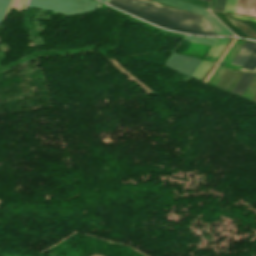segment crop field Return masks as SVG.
Masks as SVG:
<instances>
[{
    "label": "crop field",
    "instance_id": "obj_1",
    "mask_svg": "<svg viewBox=\"0 0 256 256\" xmlns=\"http://www.w3.org/2000/svg\"><path fill=\"white\" fill-rule=\"evenodd\" d=\"M108 4L149 20L164 28L198 35H217L198 15L170 9L147 0H110Z\"/></svg>",
    "mask_w": 256,
    "mask_h": 256
},
{
    "label": "crop field",
    "instance_id": "obj_2",
    "mask_svg": "<svg viewBox=\"0 0 256 256\" xmlns=\"http://www.w3.org/2000/svg\"><path fill=\"white\" fill-rule=\"evenodd\" d=\"M27 5L63 15L89 12L100 6L99 3L90 0H29Z\"/></svg>",
    "mask_w": 256,
    "mask_h": 256
},
{
    "label": "crop field",
    "instance_id": "obj_3",
    "mask_svg": "<svg viewBox=\"0 0 256 256\" xmlns=\"http://www.w3.org/2000/svg\"><path fill=\"white\" fill-rule=\"evenodd\" d=\"M202 15L217 34H233L210 11L177 0H153Z\"/></svg>",
    "mask_w": 256,
    "mask_h": 256
},
{
    "label": "crop field",
    "instance_id": "obj_4",
    "mask_svg": "<svg viewBox=\"0 0 256 256\" xmlns=\"http://www.w3.org/2000/svg\"><path fill=\"white\" fill-rule=\"evenodd\" d=\"M200 63L201 60L174 53L165 66L191 77Z\"/></svg>",
    "mask_w": 256,
    "mask_h": 256
},
{
    "label": "crop field",
    "instance_id": "obj_5",
    "mask_svg": "<svg viewBox=\"0 0 256 256\" xmlns=\"http://www.w3.org/2000/svg\"><path fill=\"white\" fill-rule=\"evenodd\" d=\"M255 46H256V43L246 41V43L241 48V50L239 51L237 56L234 58L232 63L243 66V64L245 63V61L247 60V58L249 57L250 53L252 52Z\"/></svg>",
    "mask_w": 256,
    "mask_h": 256
},
{
    "label": "crop field",
    "instance_id": "obj_6",
    "mask_svg": "<svg viewBox=\"0 0 256 256\" xmlns=\"http://www.w3.org/2000/svg\"><path fill=\"white\" fill-rule=\"evenodd\" d=\"M255 75L256 73L244 72V74L239 79L235 87L232 89V92L239 93L242 95V93L247 88V86L249 85V83L251 82Z\"/></svg>",
    "mask_w": 256,
    "mask_h": 256
},
{
    "label": "crop field",
    "instance_id": "obj_7",
    "mask_svg": "<svg viewBox=\"0 0 256 256\" xmlns=\"http://www.w3.org/2000/svg\"><path fill=\"white\" fill-rule=\"evenodd\" d=\"M254 1L255 0H238L236 13L252 16Z\"/></svg>",
    "mask_w": 256,
    "mask_h": 256
},
{
    "label": "crop field",
    "instance_id": "obj_8",
    "mask_svg": "<svg viewBox=\"0 0 256 256\" xmlns=\"http://www.w3.org/2000/svg\"><path fill=\"white\" fill-rule=\"evenodd\" d=\"M216 16H218L228 27H230L237 35L247 37L227 16L222 12L212 11Z\"/></svg>",
    "mask_w": 256,
    "mask_h": 256
},
{
    "label": "crop field",
    "instance_id": "obj_9",
    "mask_svg": "<svg viewBox=\"0 0 256 256\" xmlns=\"http://www.w3.org/2000/svg\"><path fill=\"white\" fill-rule=\"evenodd\" d=\"M228 40L229 38H218V40L208 53V56L217 58V56L219 55V53L221 52V50L223 49Z\"/></svg>",
    "mask_w": 256,
    "mask_h": 256
},
{
    "label": "crop field",
    "instance_id": "obj_10",
    "mask_svg": "<svg viewBox=\"0 0 256 256\" xmlns=\"http://www.w3.org/2000/svg\"><path fill=\"white\" fill-rule=\"evenodd\" d=\"M241 70L256 71V47Z\"/></svg>",
    "mask_w": 256,
    "mask_h": 256
},
{
    "label": "crop field",
    "instance_id": "obj_11",
    "mask_svg": "<svg viewBox=\"0 0 256 256\" xmlns=\"http://www.w3.org/2000/svg\"><path fill=\"white\" fill-rule=\"evenodd\" d=\"M211 63H207L202 61V63L199 65L196 72L193 74V78L200 79L202 75L207 71V69L210 67Z\"/></svg>",
    "mask_w": 256,
    "mask_h": 256
},
{
    "label": "crop field",
    "instance_id": "obj_12",
    "mask_svg": "<svg viewBox=\"0 0 256 256\" xmlns=\"http://www.w3.org/2000/svg\"><path fill=\"white\" fill-rule=\"evenodd\" d=\"M185 40L213 45L216 38L192 37L187 35Z\"/></svg>",
    "mask_w": 256,
    "mask_h": 256
},
{
    "label": "crop field",
    "instance_id": "obj_13",
    "mask_svg": "<svg viewBox=\"0 0 256 256\" xmlns=\"http://www.w3.org/2000/svg\"><path fill=\"white\" fill-rule=\"evenodd\" d=\"M237 0H227L225 11L235 13Z\"/></svg>",
    "mask_w": 256,
    "mask_h": 256
},
{
    "label": "crop field",
    "instance_id": "obj_14",
    "mask_svg": "<svg viewBox=\"0 0 256 256\" xmlns=\"http://www.w3.org/2000/svg\"><path fill=\"white\" fill-rule=\"evenodd\" d=\"M181 1L193 4V5H197L203 8H208V5H209L208 2L201 1V0H181Z\"/></svg>",
    "mask_w": 256,
    "mask_h": 256
},
{
    "label": "crop field",
    "instance_id": "obj_15",
    "mask_svg": "<svg viewBox=\"0 0 256 256\" xmlns=\"http://www.w3.org/2000/svg\"><path fill=\"white\" fill-rule=\"evenodd\" d=\"M225 0H215L214 9L224 11Z\"/></svg>",
    "mask_w": 256,
    "mask_h": 256
},
{
    "label": "crop field",
    "instance_id": "obj_16",
    "mask_svg": "<svg viewBox=\"0 0 256 256\" xmlns=\"http://www.w3.org/2000/svg\"><path fill=\"white\" fill-rule=\"evenodd\" d=\"M9 1L10 0H4L2 5H1V7H0V20H1L2 16H3L7 6H8Z\"/></svg>",
    "mask_w": 256,
    "mask_h": 256
},
{
    "label": "crop field",
    "instance_id": "obj_17",
    "mask_svg": "<svg viewBox=\"0 0 256 256\" xmlns=\"http://www.w3.org/2000/svg\"><path fill=\"white\" fill-rule=\"evenodd\" d=\"M14 1H15V0H11V1H10L9 6H8L6 12H5L4 17H5V16L7 15V13L11 10V8H12V6H13V4H14ZM4 17H3V19H4ZM3 19H2V20H3ZM0 23H1V22H0Z\"/></svg>",
    "mask_w": 256,
    "mask_h": 256
},
{
    "label": "crop field",
    "instance_id": "obj_18",
    "mask_svg": "<svg viewBox=\"0 0 256 256\" xmlns=\"http://www.w3.org/2000/svg\"><path fill=\"white\" fill-rule=\"evenodd\" d=\"M25 2H26V0H20V1H19V4H18V6H17L16 9H18V8H20V7H22V6H24Z\"/></svg>",
    "mask_w": 256,
    "mask_h": 256
},
{
    "label": "crop field",
    "instance_id": "obj_19",
    "mask_svg": "<svg viewBox=\"0 0 256 256\" xmlns=\"http://www.w3.org/2000/svg\"><path fill=\"white\" fill-rule=\"evenodd\" d=\"M253 16L256 17V1H255V7H254V13H253Z\"/></svg>",
    "mask_w": 256,
    "mask_h": 256
},
{
    "label": "crop field",
    "instance_id": "obj_20",
    "mask_svg": "<svg viewBox=\"0 0 256 256\" xmlns=\"http://www.w3.org/2000/svg\"><path fill=\"white\" fill-rule=\"evenodd\" d=\"M18 1H19V0H16L15 5H14V7H13L14 9L16 8V6H17V4H18Z\"/></svg>",
    "mask_w": 256,
    "mask_h": 256
},
{
    "label": "crop field",
    "instance_id": "obj_21",
    "mask_svg": "<svg viewBox=\"0 0 256 256\" xmlns=\"http://www.w3.org/2000/svg\"><path fill=\"white\" fill-rule=\"evenodd\" d=\"M92 256H102V255H96V254H93Z\"/></svg>",
    "mask_w": 256,
    "mask_h": 256
},
{
    "label": "crop field",
    "instance_id": "obj_22",
    "mask_svg": "<svg viewBox=\"0 0 256 256\" xmlns=\"http://www.w3.org/2000/svg\"><path fill=\"white\" fill-rule=\"evenodd\" d=\"M102 1H104V2H106V3H107L109 0H102Z\"/></svg>",
    "mask_w": 256,
    "mask_h": 256
},
{
    "label": "crop field",
    "instance_id": "obj_23",
    "mask_svg": "<svg viewBox=\"0 0 256 256\" xmlns=\"http://www.w3.org/2000/svg\"><path fill=\"white\" fill-rule=\"evenodd\" d=\"M2 0H0V4H1Z\"/></svg>",
    "mask_w": 256,
    "mask_h": 256
},
{
    "label": "crop field",
    "instance_id": "obj_24",
    "mask_svg": "<svg viewBox=\"0 0 256 256\" xmlns=\"http://www.w3.org/2000/svg\"><path fill=\"white\" fill-rule=\"evenodd\" d=\"M205 1H208V0H205ZM209 2V1H208Z\"/></svg>",
    "mask_w": 256,
    "mask_h": 256
}]
</instances>
